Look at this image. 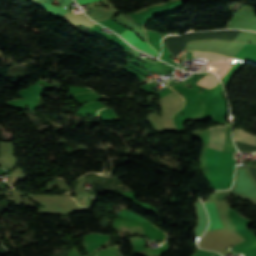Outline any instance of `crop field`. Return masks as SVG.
Returning <instances> with one entry per match:
<instances>
[{"label": "crop field", "mask_w": 256, "mask_h": 256, "mask_svg": "<svg viewBox=\"0 0 256 256\" xmlns=\"http://www.w3.org/2000/svg\"><path fill=\"white\" fill-rule=\"evenodd\" d=\"M227 126H215L210 128V141L208 146L222 150L224 147L225 132Z\"/></svg>", "instance_id": "obj_2"}, {"label": "crop field", "mask_w": 256, "mask_h": 256, "mask_svg": "<svg viewBox=\"0 0 256 256\" xmlns=\"http://www.w3.org/2000/svg\"><path fill=\"white\" fill-rule=\"evenodd\" d=\"M192 57H200L204 59L223 60V61H230L231 59L216 53H205V52H193Z\"/></svg>", "instance_id": "obj_7"}, {"label": "crop field", "mask_w": 256, "mask_h": 256, "mask_svg": "<svg viewBox=\"0 0 256 256\" xmlns=\"http://www.w3.org/2000/svg\"><path fill=\"white\" fill-rule=\"evenodd\" d=\"M43 1H45V0H31L30 2L39 6Z\"/></svg>", "instance_id": "obj_9"}, {"label": "crop field", "mask_w": 256, "mask_h": 256, "mask_svg": "<svg viewBox=\"0 0 256 256\" xmlns=\"http://www.w3.org/2000/svg\"><path fill=\"white\" fill-rule=\"evenodd\" d=\"M234 158L236 159V153H235V156H234Z\"/></svg>", "instance_id": "obj_12"}, {"label": "crop field", "mask_w": 256, "mask_h": 256, "mask_svg": "<svg viewBox=\"0 0 256 256\" xmlns=\"http://www.w3.org/2000/svg\"><path fill=\"white\" fill-rule=\"evenodd\" d=\"M122 38H124L127 42H129L131 45L135 46L136 48L152 55V56H157L158 53L156 52L155 49L150 47L148 44L145 42H142L140 39L136 37L134 33H132L130 30H126L120 35Z\"/></svg>", "instance_id": "obj_1"}, {"label": "crop field", "mask_w": 256, "mask_h": 256, "mask_svg": "<svg viewBox=\"0 0 256 256\" xmlns=\"http://www.w3.org/2000/svg\"><path fill=\"white\" fill-rule=\"evenodd\" d=\"M218 81L212 75H206L197 84L202 85L209 89V87ZM212 87V86H211Z\"/></svg>", "instance_id": "obj_8"}, {"label": "crop field", "mask_w": 256, "mask_h": 256, "mask_svg": "<svg viewBox=\"0 0 256 256\" xmlns=\"http://www.w3.org/2000/svg\"><path fill=\"white\" fill-rule=\"evenodd\" d=\"M184 49L185 48H183L181 51H179L177 54H175L174 56L177 58L179 55H181L183 52H184Z\"/></svg>", "instance_id": "obj_11"}, {"label": "crop field", "mask_w": 256, "mask_h": 256, "mask_svg": "<svg viewBox=\"0 0 256 256\" xmlns=\"http://www.w3.org/2000/svg\"><path fill=\"white\" fill-rule=\"evenodd\" d=\"M64 19L67 20V22L73 24V25H76V26H79L80 24L83 25V26H89L91 28H93L96 23L92 22L91 20H89L85 14L83 12L75 15L73 13V11H69L68 13L64 14L63 16Z\"/></svg>", "instance_id": "obj_3"}, {"label": "crop field", "mask_w": 256, "mask_h": 256, "mask_svg": "<svg viewBox=\"0 0 256 256\" xmlns=\"http://www.w3.org/2000/svg\"><path fill=\"white\" fill-rule=\"evenodd\" d=\"M212 63H213L212 61H207L206 64L211 66ZM231 66L232 65L230 63H224V62H214L212 65L213 68L218 69L216 73L220 76L221 79L228 72Z\"/></svg>", "instance_id": "obj_5"}, {"label": "crop field", "mask_w": 256, "mask_h": 256, "mask_svg": "<svg viewBox=\"0 0 256 256\" xmlns=\"http://www.w3.org/2000/svg\"><path fill=\"white\" fill-rule=\"evenodd\" d=\"M204 205L210 217V225L208 227V230L223 227L215 203L204 202Z\"/></svg>", "instance_id": "obj_4"}, {"label": "crop field", "mask_w": 256, "mask_h": 256, "mask_svg": "<svg viewBox=\"0 0 256 256\" xmlns=\"http://www.w3.org/2000/svg\"><path fill=\"white\" fill-rule=\"evenodd\" d=\"M234 139L256 144V136L250 135L241 129L234 130Z\"/></svg>", "instance_id": "obj_6"}, {"label": "crop field", "mask_w": 256, "mask_h": 256, "mask_svg": "<svg viewBox=\"0 0 256 256\" xmlns=\"http://www.w3.org/2000/svg\"><path fill=\"white\" fill-rule=\"evenodd\" d=\"M79 4L82 3H87V2H92V1H97V0H77Z\"/></svg>", "instance_id": "obj_10"}]
</instances>
